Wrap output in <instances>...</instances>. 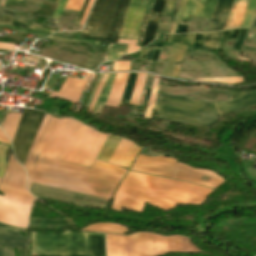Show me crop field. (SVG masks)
<instances>
[{"label": "crop field", "instance_id": "1", "mask_svg": "<svg viewBox=\"0 0 256 256\" xmlns=\"http://www.w3.org/2000/svg\"><path fill=\"white\" fill-rule=\"evenodd\" d=\"M211 191L186 182L129 171L117 188L112 209L120 211L124 207L141 212L147 202L167 210L174 208L177 203L200 204Z\"/></svg>", "mask_w": 256, "mask_h": 256}, {"label": "crop field", "instance_id": "2", "mask_svg": "<svg viewBox=\"0 0 256 256\" xmlns=\"http://www.w3.org/2000/svg\"><path fill=\"white\" fill-rule=\"evenodd\" d=\"M228 93L230 101L214 104L220 117L239 110L256 108V90L228 91ZM154 109L161 119L206 129L218 121L212 104L167 94H157Z\"/></svg>", "mask_w": 256, "mask_h": 256}, {"label": "crop field", "instance_id": "3", "mask_svg": "<svg viewBox=\"0 0 256 256\" xmlns=\"http://www.w3.org/2000/svg\"><path fill=\"white\" fill-rule=\"evenodd\" d=\"M107 135L69 119L46 159L91 167Z\"/></svg>", "mask_w": 256, "mask_h": 256}, {"label": "crop field", "instance_id": "4", "mask_svg": "<svg viewBox=\"0 0 256 256\" xmlns=\"http://www.w3.org/2000/svg\"><path fill=\"white\" fill-rule=\"evenodd\" d=\"M107 256H159L170 252L201 253L183 236L162 237L153 233L130 236L106 234Z\"/></svg>", "mask_w": 256, "mask_h": 256}, {"label": "crop field", "instance_id": "5", "mask_svg": "<svg viewBox=\"0 0 256 256\" xmlns=\"http://www.w3.org/2000/svg\"><path fill=\"white\" fill-rule=\"evenodd\" d=\"M0 191L5 195L0 196V222L26 229L34 197L26 189L25 170L14 160L12 154Z\"/></svg>", "mask_w": 256, "mask_h": 256}, {"label": "crop field", "instance_id": "6", "mask_svg": "<svg viewBox=\"0 0 256 256\" xmlns=\"http://www.w3.org/2000/svg\"><path fill=\"white\" fill-rule=\"evenodd\" d=\"M104 256V238L102 234L83 233L72 230L63 234L30 233L31 256Z\"/></svg>", "mask_w": 256, "mask_h": 256}, {"label": "crop field", "instance_id": "7", "mask_svg": "<svg viewBox=\"0 0 256 256\" xmlns=\"http://www.w3.org/2000/svg\"><path fill=\"white\" fill-rule=\"evenodd\" d=\"M34 184L75 191L109 200L117 183L35 165Z\"/></svg>", "mask_w": 256, "mask_h": 256}, {"label": "crop field", "instance_id": "8", "mask_svg": "<svg viewBox=\"0 0 256 256\" xmlns=\"http://www.w3.org/2000/svg\"><path fill=\"white\" fill-rule=\"evenodd\" d=\"M130 0H97L86 24L89 31H81V37L118 42L121 23ZM111 18L114 20L111 21Z\"/></svg>", "mask_w": 256, "mask_h": 256}, {"label": "crop field", "instance_id": "9", "mask_svg": "<svg viewBox=\"0 0 256 256\" xmlns=\"http://www.w3.org/2000/svg\"><path fill=\"white\" fill-rule=\"evenodd\" d=\"M67 120H68L67 118L59 119L49 140L47 141L40 156L38 157L36 164L63 170V171L89 175V176L119 183V181L127 172V169H123L99 160H95L91 169L84 168L78 165L69 164L62 161L60 163H55V162L44 160L49 150L51 149L52 145L54 144L55 140L57 139L58 135L60 134L61 130L63 129L64 125L66 124Z\"/></svg>", "mask_w": 256, "mask_h": 256}, {"label": "crop field", "instance_id": "10", "mask_svg": "<svg viewBox=\"0 0 256 256\" xmlns=\"http://www.w3.org/2000/svg\"><path fill=\"white\" fill-rule=\"evenodd\" d=\"M43 117L44 114L38 111L26 108L23 111L22 118L18 124L13 140V148L16 157L23 166L30 145L39 129Z\"/></svg>", "mask_w": 256, "mask_h": 256}, {"label": "crop field", "instance_id": "11", "mask_svg": "<svg viewBox=\"0 0 256 256\" xmlns=\"http://www.w3.org/2000/svg\"><path fill=\"white\" fill-rule=\"evenodd\" d=\"M148 1L149 0H131L127 8L120 38L137 39L142 15ZM128 47L129 45L122 46L109 43L107 49L109 60H115L127 54Z\"/></svg>", "mask_w": 256, "mask_h": 256}, {"label": "crop field", "instance_id": "12", "mask_svg": "<svg viewBox=\"0 0 256 256\" xmlns=\"http://www.w3.org/2000/svg\"><path fill=\"white\" fill-rule=\"evenodd\" d=\"M176 160L161 156L150 158L140 155L131 170L150 173L154 175L171 177Z\"/></svg>", "mask_w": 256, "mask_h": 256}, {"label": "crop field", "instance_id": "13", "mask_svg": "<svg viewBox=\"0 0 256 256\" xmlns=\"http://www.w3.org/2000/svg\"><path fill=\"white\" fill-rule=\"evenodd\" d=\"M203 175L212 177L209 183L199 181ZM171 178L193 182L213 189L224 182V180L214 172L208 170H195L179 162L177 163Z\"/></svg>", "mask_w": 256, "mask_h": 256}, {"label": "crop field", "instance_id": "14", "mask_svg": "<svg viewBox=\"0 0 256 256\" xmlns=\"http://www.w3.org/2000/svg\"><path fill=\"white\" fill-rule=\"evenodd\" d=\"M232 2L233 0H217L207 32L221 31L224 29ZM213 22H216V25Z\"/></svg>", "mask_w": 256, "mask_h": 256}, {"label": "crop field", "instance_id": "15", "mask_svg": "<svg viewBox=\"0 0 256 256\" xmlns=\"http://www.w3.org/2000/svg\"><path fill=\"white\" fill-rule=\"evenodd\" d=\"M215 2L216 0H199L196 3L195 0H187L181 18L187 19L188 15L211 18Z\"/></svg>", "mask_w": 256, "mask_h": 256}, {"label": "crop field", "instance_id": "16", "mask_svg": "<svg viewBox=\"0 0 256 256\" xmlns=\"http://www.w3.org/2000/svg\"><path fill=\"white\" fill-rule=\"evenodd\" d=\"M18 231L0 224V246L27 248V238H23Z\"/></svg>", "mask_w": 256, "mask_h": 256}, {"label": "crop field", "instance_id": "17", "mask_svg": "<svg viewBox=\"0 0 256 256\" xmlns=\"http://www.w3.org/2000/svg\"><path fill=\"white\" fill-rule=\"evenodd\" d=\"M250 0H234L224 30L240 27Z\"/></svg>", "mask_w": 256, "mask_h": 256}, {"label": "crop field", "instance_id": "18", "mask_svg": "<svg viewBox=\"0 0 256 256\" xmlns=\"http://www.w3.org/2000/svg\"><path fill=\"white\" fill-rule=\"evenodd\" d=\"M165 1L166 0H155L154 5L151 9V13L149 16V20L146 26V30L141 45H146L153 40L157 23L162 13ZM156 12H158L157 15L155 14ZM154 16H156V18H154Z\"/></svg>", "mask_w": 256, "mask_h": 256}, {"label": "crop field", "instance_id": "19", "mask_svg": "<svg viewBox=\"0 0 256 256\" xmlns=\"http://www.w3.org/2000/svg\"><path fill=\"white\" fill-rule=\"evenodd\" d=\"M186 46L174 44L170 52L169 58L162 72L163 75L177 78L179 75L180 65L174 67V63L182 60V57L186 51Z\"/></svg>", "mask_w": 256, "mask_h": 256}, {"label": "crop field", "instance_id": "20", "mask_svg": "<svg viewBox=\"0 0 256 256\" xmlns=\"http://www.w3.org/2000/svg\"><path fill=\"white\" fill-rule=\"evenodd\" d=\"M58 121V118H52L46 132L44 133L32 159H31V162H30V166H29V172H28V188L30 190V186H31V180H32V175H33V169H34V162L37 158V156L39 155V153L41 152L43 146L45 145L46 141L48 140L52 130L54 129L56 123Z\"/></svg>", "mask_w": 256, "mask_h": 256}, {"label": "crop field", "instance_id": "21", "mask_svg": "<svg viewBox=\"0 0 256 256\" xmlns=\"http://www.w3.org/2000/svg\"><path fill=\"white\" fill-rule=\"evenodd\" d=\"M174 2L175 1L168 0L162 14L169 15ZM185 2H186V0H182L181 3H180V6H179V9L177 11V14H176V17H175V20H174V23H173V26H172V29H171L170 33H174L175 30H176V27H177L178 22H179L180 17H181L183 7L185 5ZM166 25L167 24H163V23L158 24V28H157V31H156V34H155V38L163 34Z\"/></svg>", "mask_w": 256, "mask_h": 256}, {"label": "crop field", "instance_id": "22", "mask_svg": "<svg viewBox=\"0 0 256 256\" xmlns=\"http://www.w3.org/2000/svg\"><path fill=\"white\" fill-rule=\"evenodd\" d=\"M114 76H115V74H110L107 76L106 81L104 83V86L102 88V91H101L98 101L93 109L92 114L97 115V114L101 113L102 107L105 104L108 94L110 92ZM100 99H102V101H100Z\"/></svg>", "mask_w": 256, "mask_h": 256}, {"label": "crop field", "instance_id": "23", "mask_svg": "<svg viewBox=\"0 0 256 256\" xmlns=\"http://www.w3.org/2000/svg\"><path fill=\"white\" fill-rule=\"evenodd\" d=\"M119 141L120 138L109 135L96 159L108 162Z\"/></svg>", "mask_w": 256, "mask_h": 256}, {"label": "crop field", "instance_id": "24", "mask_svg": "<svg viewBox=\"0 0 256 256\" xmlns=\"http://www.w3.org/2000/svg\"><path fill=\"white\" fill-rule=\"evenodd\" d=\"M131 145L132 142H129L125 139H121L119 145L117 146L112 157L110 158L109 163L119 166L120 162L124 158L125 154L129 150Z\"/></svg>", "mask_w": 256, "mask_h": 256}, {"label": "crop field", "instance_id": "25", "mask_svg": "<svg viewBox=\"0 0 256 256\" xmlns=\"http://www.w3.org/2000/svg\"><path fill=\"white\" fill-rule=\"evenodd\" d=\"M20 115L21 114L11 113L5 116L2 129L7 133L11 141H12L17 123L19 121Z\"/></svg>", "mask_w": 256, "mask_h": 256}, {"label": "crop field", "instance_id": "26", "mask_svg": "<svg viewBox=\"0 0 256 256\" xmlns=\"http://www.w3.org/2000/svg\"><path fill=\"white\" fill-rule=\"evenodd\" d=\"M50 118H51V115H47V114L45 115L44 120H43V122L41 124V127L39 129V132H38V134H37V136H36V138L33 142V145H32V147H31V149H30V151L27 155L26 166H25V169L27 170V172H28V166H29L31 156H32V154H33V152H34V150H35V148H36V146H37V144H38V142H39V140H40L47 124H48V122H49V120H50Z\"/></svg>", "mask_w": 256, "mask_h": 256}, {"label": "crop field", "instance_id": "27", "mask_svg": "<svg viewBox=\"0 0 256 256\" xmlns=\"http://www.w3.org/2000/svg\"><path fill=\"white\" fill-rule=\"evenodd\" d=\"M222 33L223 32L207 34L202 48L216 50Z\"/></svg>", "mask_w": 256, "mask_h": 256}, {"label": "crop field", "instance_id": "28", "mask_svg": "<svg viewBox=\"0 0 256 256\" xmlns=\"http://www.w3.org/2000/svg\"><path fill=\"white\" fill-rule=\"evenodd\" d=\"M136 76V73H130L126 88L122 96V102L120 105H124L129 102Z\"/></svg>", "mask_w": 256, "mask_h": 256}, {"label": "crop field", "instance_id": "29", "mask_svg": "<svg viewBox=\"0 0 256 256\" xmlns=\"http://www.w3.org/2000/svg\"><path fill=\"white\" fill-rule=\"evenodd\" d=\"M93 1L94 0H89L88 6H87L86 11H85V14H84V16H83V18L81 20L82 23L84 22V20H85L87 14L89 12V9H90ZM83 2H84V0H67V3H66L64 8L74 9V10L80 11Z\"/></svg>", "mask_w": 256, "mask_h": 256}, {"label": "crop field", "instance_id": "30", "mask_svg": "<svg viewBox=\"0 0 256 256\" xmlns=\"http://www.w3.org/2000/svg\"><path fill=\"white\" fill-rule=\"evenodd\" d=\"M139 151H140V148H138L133 143V145L131 146L130 150L126 154L125 158L121 162L120 166L129 169L131 163L133 162L134 158L136 157V155L138 154Z\"/></svg>", "mask_w": 256, "mask_h": 256}, {"label": "crop field", "instance_id": "31", "mask_svg": "<svg viewBox=\"0 0 256 256\" xmlns=\"http://www.w3.org/2000/svg\"><path fill=\"white\" fill-rule=\"evenodd\" d=\"M195 34L170 35L168 42L192 45Z\"/></svg>", "mask_w": 256, "mask_h": 256}, {"label": "crop field", "instance_id": "32", "mask_svg": "<svg viewBox=\"0 0 256 256\" xmlns=\"http://www.w3.org/2000/svg\"><path fill=\"white\" fill-rule=\"evenodd\" d=\"M14 10H9L5 8H0V24H11L14 16H15Z\"/></svg>", "mask_w": 256, "mask_h": 256}, {"label": "crop field", "instance_id": "33", "mask_svg": "<svg viewBox=\"0 0 256 256\" xmlns=\"http://www.w3.org/2000/svg\"><path fill=\"white\" fill-rule=\"evenodd\" d=\"M256 7V0H251L246 16L241 27H249Z\"/></svg>", "mask_w": 256, "mask_h": 256}, {"label": "crop field", "instance_id": "34", "mask_svg": "<svg viewBox=\"0 0 256 256\" xmlns=\"http://www.w3.org/2000/svg\"><path fill=\"white\" fill-rule=\"evenodd\" d=\"M8 150V147L0 145V177L2 176L6 162H5V154Z\"/></svg>", "mask_w": 256, "mask_h": 256}, {"label": "crop field", "instance_id": "35", "mask_svg": "<svg viewBox=\"0 0 256 256\" xmlns=\"http://www.w3.org/2000/svg\"><path fill=\"white\" fill-rule=\"evenodd\" d=\"M239 31H240V29L224 32L220 42H227L231 39H236L237 36H238Z\"/></svg>", "mask_w": 256, "mask_h": 256}, {"label": "crop field", "instance_id": "36", "mask_svg": "<svg viewBox=\"0 0 256 256\" xmlns=\"http://www.w3.org/2000/svg\"><path fill=\"white\" fill-rule=\"evenodd\" d=\"M48 39L51 40H61V41H70V42H81V43H85V44H89L91 43V41H87V40H80V39H74V38H67V37H61V36H55V35H51L50 37H47Z\"/></svg>", "mask_w": 256, "mask_h": 256}, {"label": "crop field", "instance_id": "37", "mask_svg": "<svg viewBox=\"0 0 256 256\" xmlns=\"http://www.w3.org/2000/svg\"><path fill=\"white\" fill-rule=\"evenodd\" d=\"M247 30L248 29H241V31L239 33V36L237 38V42H236V44L234 46V49H238V50L241 49L242 43H243V41L245 39V36L247 34Z\"/></svg>", "mask_w": 256, "mask_h": 256}, {"label": "crop field", "instance_id": "38", "mask_svg": "<svg viewBox=\"0 0 256 256\" xmlns=\"http://www.w3.org/2000/svg\"><path fill=\"white\" fill-rule=\"evenodd\" d=\"M102 76H103V74H100V75H99V77H98V79H97V81H96V84H95V86H94V88H93V90H92V92H91V95H90V97H89V99H88V101H87V103H86L85 106H87V107L90 106V104H91V102H92V100H93V97H94V95H95V93H96V90H97V88H98V86H99V84H100V81H101V79H102Z\"/></svg>", "mask_w": 256, "mask_h": 256}, {"label": "crop field", "instance_id": "39", "mask_svg": "<svg viewBox=\"0 0 256 256\" xmlns=\"http://www.w3.org/2000/svg\"><path fill=\"white\" fill-rule=\"evenodd\" d=\"M65 2H66V0H58V5H57V7H56V9H55V13H54V19H56V20H59L58 18L60 17V15H61V12H62V10H63V7H64V5H65Z\"/></svg>", "mask_w": 256, "mask_h": 256}, {"label": "crop field", "instance_id": "40", "mask_svg": "<svg viewBox=\"0 0 256 256\" xmlns=\"http://www.w3.org/2000/svg\"><path fill=\"white\" fill-rule=\"evenodd\" d=\"M153 79H154L153 77H150V81H149V85H148V89H147V93H146V97H145V101H144V105H143V113H142V116L145 115L146 106H147V102H148L150 90H151V87H152Z\"/></svg>", "mask_w": 256, "mask_h": 256}, {"label": "crop field", "instance_id": "41", "mask_svg": "<svg viewBox=\"0 0 256 256\" xmlns=\"http://www.w3.org/2000/svg\"><path fill=\"white\" fill-rule=\"evenodd\" d=\"M205 35L206 34H196L193 46L201 48Z\"/></svg>", "mask_w": 256, "mask_h": 256}, {"label": "crop field", "instance_id": "42", "mask_svg": "<svg viewBox=\"0 0 256 256\" xmlns=\"http://www.w3.org/2000/svg\"><path fill=\"white\" fill-rule=\"evenodd\" d=\"M156 44H149L146 61L150 62Z\"/></svg>", "mask_w": 256, "mask_h": 256}, {"label": "crop field", "instance_id": "43", "mask_svg": "<svg viewBox=\"0 0 256 256\" xmlns=\"http://www.w3.org/2000/svg\"><path fill=\"white\" fill-rule=\"evenodd\" d=\"M161 45H162V44H157V45H156V48H155V51H154L153 58H152V61H151V62H156V61H157V58H158V55H159V52H160Z\"/></svg>", "mask_w": 256, "mask_h": 256}, {"label": "crop field", "instance_id": "44", "mask_svg": "<svg viewBox=\"0 0 256 256\" xmlns=\"http://www.w3.org/2000/svg\"><path fill=\"white\" fill-rule=\"evenodd\" d=\"M29 28L30 29H34V30H39V31L47 32V33L55 32V30L46 29V28H42V27H37V26H33V25H30Z\"/></svg>", "mask_w": 256, "mask_h": 256}, {"label": "crop field", "instance_id": "45", "mask_svg": "<svg viewBox=\"0 0 256 256\" xmlns=\"http://www.w3.org/2000/svg\"><path fill=\"white\" fill-rule=\"evenodd\" d=\"M188 25L179 24L176 33H185Z\"/></svg>", "mask_w": 256, "mask_h": 256}, {"label": "crop field", "instance_id": "46", "mask_svg": "<svg viewBox=\"0 0 256 256\" xmlns=\"http://www.w3.org/2000/svg\"><path fill=\"white\" fill-rule=\"evenodd\" d=\"M0 142L10 145L8 139L6 138V136L3 134L1 130H0Z\"/></svg>", "mask_w": 256, "mask_h": 256}, {"label": "crop field", "instance_id": "47", "mask_svg": "<svg viewBox=\"0 0 256 256\" xmlns=\"http://www.w3.org/2000/svg\"><path fill=\"white\" fill-rule=\"evenodd\" d=\"M87 3H88V0H85V2H84V4H83V7H82V10H81V13H80V15H79V17H78V19H77V21H76L75 24H78V23H79V21H80L82 15H83V13H84V11H85V8H86Z\"/></svg>", "mask_w": 256, "mask_h": 256}, {"label": "crop field", "instance_id": "48", "mask_svg": "<svg viewBox=\"0 0 256 256\" xmlns=\"http://www.w3.org/2000/svg\"><path fill=\"white\" fill-rule=\"evenodd\" d=\"M13 25H17V26H21V27L27 28L29 24L14 21Z\"/></svg>", "mask_w": 256, "mask_h": 256}, {"label": "crop field", "instance_id": "49", "mask_svg": "<svg viewBox=\"0 0 256 256\" xmlns=\"http://www.w3.org/2000/svg\"><path fill=\"white\" fill-rule=\"evenodd\" d=\"M147 48H144L142 51H140L141 60L145 59Z\"/></svg>", "mask_w": 256, "mask_h": 256}, {"label": "crop field", "instance_id": "50", "mask_svg": "<svg viewBox=\"0 0 256 256\" xmlns=\"http://www.w3.org/2000/svg\"><path fill=\"white\" fill-rule=\"evenodd\" d=\"M250 27H256V10Z\"/></svg>", "mask_w": 256, "mask_h": 256}, {"label": "crop field", "instance_id": "51", "mask_svg": "<svg viewBox=\"0 0 256 256\" xmlns=\"http://www.w3.org/2000/svg\"><path fill=\"white\" fill-rule=\"evenodd\" d=\"M100 42L98 41H92V46H98Z\"/></svg>", "mask_w": 256, "mask_h": 256}, {"label": "crop field", "instance_id": "52", "mask_svg": "<svg viewBox=\"0 0 256 256\" xmlns=\"http://www.w3.org/2000/svg\"><path fill=\"white\" fill-rule=\"evenodd\" d=\"M0 256H2V247H0Z\"/></svg>", "mask_w": 256, "mask_h": 256}]
</instances>
